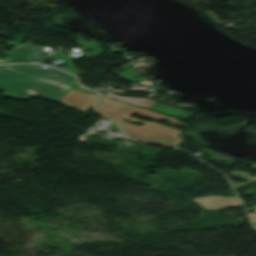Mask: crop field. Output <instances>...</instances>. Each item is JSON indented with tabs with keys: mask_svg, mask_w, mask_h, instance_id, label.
Wrapping results in <instances>:
<instances>
[{
	"mask_svg": "<svg viewBox=\"0 0 256 256\" xmlns=\"http://www.w3.org/2000/svg\"><path fill=\"white\" fill-rule=\"evenodd\" d=\"M3 97L28 100L32 96L59 100L70 90L67 74L40 65L0 66Z\"/></svg>",
	"mask_w": 256,
	"mask_h": 256,
	"instance_id": "8a807250",
	"label": "crop field"
},
{
	"mask_svg": "<svg viewBox=\"0 0 256 256\" xmlns=\"http://www.w3.org/2000/svg\"><path fill=\"white\" fill-rule=\"evenodd\" d=\"M97 111L107 118L113 119L122 124L124 131L127 135L131 136L133 139L148 141L152 143L170 144L177 146L180 142V137L178 135L182 132L181 130L166 127L153 122H145L133 117L128 116L131 113H138L145 117L159 120L161 118L168 119L172 125H183L187 124L180 123L176 119L163 116L142 108H138L117 100H113L102 96L98 104L96 105ZM127 118L131 121L144 123L143 127H137L130 125L119 117Z\"/></svg>",
	"mask_w": 256,
	"mask_h": 256,
	"instance_id": "ac0d7876",
	"label": "crop field"
},
{
	"mask_svg": "<svg viewBox=\"0 0 256 256\" xmlns=\"http://www.w3.org/2000/svg\"><path fill=\"white\" fill-rule=\"evenodd\" d=\"M7 46H14L10 52L3 51L1 53L6 54L4 60H0V63H18V62H33L36 59L44 58V53L40 49L32 46L30 43L18 44L11 41L6 44Z\"/></svg>",
	"mask_w": 256,
	"mask_h": 256,
	"instance_id": "34b2d1b8",
	"label": "crop field"
},
{
	"mask_svg": "<svg viewBox=\"0 0 256 256\" xmlns=\"http://www.w3.org/2000/svg\"><path fill=\"white\" fill-rule=\"evenodd\" d=\"M97 97V95L71 89L58 102L85 113Z\"/></svg>",
	"mask_w": 256,
	"mask_h": 256,
	"instance_id": "412701ff",
	"label": "crop field"
},
{
	"mask_svg": "<svg viewBox=\"0 0 256 256\" xmlns=\"http://www.w3.org/2000/svg\"><path fill=\"white\" fill-rule=\"evenodd\" d=\"M194 201L206 210H219L225 207L238 205L239 202L234 197L208 196L196 198Z\"/></svg>",
	"mask_w": 256,
	"mask_h": 256,
	"instance_id": "f4fd0767",
	"label": "crop field"
},
{
	"mask_svg": "<svg viewBox=\"0 0 256 256\" xmlns=\"http://www.w3.org/2000/svg\"><path fill=\"white\" fill-rule=\"evenodd\" d=\"M148 109L155 110V111L162 112V113H166V114L176 116V117L186 119V120H188L191 116L194 115V113H192V112L181 111L179 109L169 107V106H166V105H162V104H158V103H154Z\"/></svg>",
	"mask_w": 256,
	"mask_h": 256,
	"instance_id": "dd49c442",
	"label": "crop field"
},
{
	"mask_svg": "<svg viewBox=\"0 0 256 256\" xmlns=\"http://www.w3.org/2000/svg\"><path fill=\"white\" fill-rule=\"evenodd\" d=\"M105 95L109 96V97L119 99V100H122V101H125V102H129V103H132V104H135V105H138V106H142V107H145V108H147L152 103H154L153 100H149V99H145V98L121 97V96H117V95L112 94V93H106Z\"/></svg>",
	"mask_w": 256,
	"mask_h": 256,
	"instance_id": "e52e79f7",
	"label": "crop field"
},
{
	"mask_svg": "<svg viewBox=\"0 0 256 256\" xmlns=\"http://www.w3.org/2000/svg\"><path fill=\"white\" fill-rule=\"evenodd\" d=\"M250 166L253 167V168H256V164H252V165H250ZM229 174H232V175H244V176H245L244 179H245V180H248V181L245 182V183H234L233 186H234L235 190H237V189H239V188H241V187H244V186H246V185H249V184H251V183H253V182H256V177H252L251 175H249V174L246 173V172H242V171H233V172H231V173H229ZM254 185H256V184H254ZM254 185H252V186H254Z\"/></svg>",
	"mask_w": 256,
	"mask_h": 256,
	"instance_id": "d8731c3e",
	"label": "crop field"
},
{
	"mask_svg": "<svg viewBox=\"0 0 256 256\" xmlns=\"http://www.w3.org/2000/svg\"><path fill=\"white\" fill-rule=\"evenodd\" d=\"M56 59H62L65 61L67 67L64 68L63 70L68 71L70 73H82L79 72L74 66L72 61L70 60V57H68L65 53H56L54 54Z\"/></svg>",
	"mask_w": 256,
	"mask_h": 256,
	"instance_id": "5a996713",
	"label": "crop field"
},
{
	"mask_svg": "<svg viewBox=\"0 0 256 256\" xmlns=\"http://www.w3.org/2000/svg\"><path fill=\"white\" fill-rule=\"evenodd\" d=\"M86 49L94 50V52H95V50H97V52H95V56H99L100 53L102 52V49H100L98 47L97 43H93V44L87 46Z\"/></svg>",
	"mask_w": 256,
	"mask_h": 256,
	"instance_id": "3316defc",
	"label": "crop field"
},
{
	"mask_svg": "<svg viewBox=\"0 0 256 256\" xmlns=\"http://www.w3.org/2000/svg\"><path fill=\"white\" fill-rule=\"evenodd\" d=\"M205 15H207L214 23L219 22L217 17L213 14V12L211 10L208 11H204L203 12Z\"/></svg>",
	"mask_w": 256,
	"mask_h": 256,
	"instance_id": "28ad6ade",
	"label": "crop field"
},
{
	"mask_svg": "<svg viewBox=\"0 0 256 256\" xmlns=\"http://www.w3.org/2000/svg\"><path fill=\"white\" fill-rule=\"evenodd\" d=\"M70 77V82H71V88L76 86L77 84L73 81V79L71 78V76L69 75Z\"/></svg>",
	"mask_w": 256,
	"mask_h": 256,
	"instance_id": "d1516ede",
	"label": "crop field"
},
{
	"mask_svg": "<svg viewBox=\"0 0 256 256\" xmlns=\"http://www.w3.org/2000/svg\"><path fill=\"white\" fill-rule=\"evenodd\" d=\"M250 215H251L252 221L256 222V214H250Z\"/></svg>",
	"mask_w": 256,
	"mask_h": 256,
	"instance_id": "22f410ed",
	"label": "crop field"
},
{
	"mask_svg": "<svg viewBox=\"0 0 256 256\" xmlns=\"http://www.w3.org/2000/svg\"><path fill=\"white\" fill-rule=\"evenodd\" d=\"M159 88H160V86H159L157 89H155V90H154L150 95H148L147 97H152V95H153L156 91H158Z\"/></svg>",
	"mask_w": 256,
	"mask_h": 256,
	"instance_id": "cbeb9de0",
	"label": "crop field"
},
{
	"mask_svg": "<svg viewBox=\"0 0 256 256\" xmlns=\"http://www.w3.org/2000/svg\"><path fill=\"white\" fill-rule=\"evenodd\" d=\"M254 226L256 227V224H254Z\"/></svg>",
	"mask_w": 256,
	"mask_h": 256,
	"instance_id": "5142ce71",
	"label": "crop field"
}]
</instances>
